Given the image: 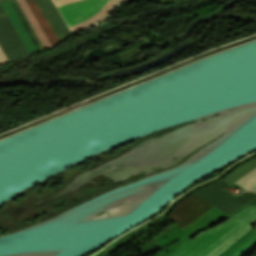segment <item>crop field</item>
Instances as JSON below:
<instances>
[{
  "instance_id": "8a807250",
  "label": "crop field",
  "mask_w": 256,
  "mask_h": 256,
  "mask_svg": "<svg viewBox=\"0 0 256 256\" xmlns=\"http://www.w3.org/2000/svg\"><path fill=\"white\" fill-rule=\"evenodd\" d=\"M256 223V207L248 206L225 222L188 240L170 256H217Z\"/></svg>"
},
{
  "instance_id": "34b2d1b8",
  "label": "crop field",
  "mask_w": 256,
  "mask_h": 256,
  "mask_svg": "<svg viewBox=\"0 0 256 256\" xmlns=\"http://www.w3.org/2000/svg\"><path fill=\"white\" fill-rule=\"evenodd\" d=\"M235 183H237L242 188L247 189L248 191H256V169H254Z\"/></svg>"
},
{
  "instance_id": "ac0d7876",
  "label": "crop field",
  "mask_w": 256,
  "mask_h": 256,
  "mask_svg": "<svg viewBox=\"0 0 256 256\" xmlns=\"http://www.w3.org/2000/svg\"><path fill=\"white\" fill-rule=\"evenodd\" d=\"M211 207L213 206L192 194L176 205L170 217L184 227Z\"/></svg>"
}]
</instances>
